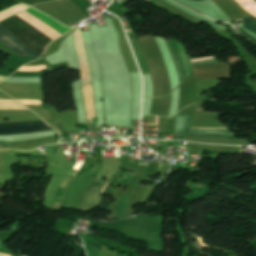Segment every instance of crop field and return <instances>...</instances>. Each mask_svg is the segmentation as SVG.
Masks as SVG:
<instances>
[{
  "mask_svg": "<svg viewBox=\"0 0 256 256\" xmlns=\"http://www.w3.org/2000/svg\"><path fill=\"white\" fill-rule=\"evenodd\" d=\"M46 125L43 121L2 123L0 124V135L51 131L52 129Z\"/></svg>",
  "mask_w": 256,
  "mask_h": 256,
  "instance_id": "ac0d7876",
  "label": "crop field"
},
{
  "mask_svg": "<svg viewBox=\"0 0 256 256\" xmlns=\"http://www.w3.org/2000/svg\"><path fill=\"white\" fill-rule=\"evenodd\" d=\"M167 48L169 50L171 59L175 65L176 71L179 76V82L185 77L183 66L177 51V48L175 46L174 40L165 41Z\"/></svg>",
  "mask_w": 256,
  "mask_h": 256,
  "instance_id": "e52e79f7",
  "label": "crop field"
},
{
  "mask_svg": "<svg viewBox=\"0 0 256 256\" xmlns=\"http://www.w3.org/2000/svg\"><path fill=\"white\" fill-rule=\"evenodd\" d=\"M0 25L39 55L53 41L16 15L0 22Z\"/></svg>",
  "mask_w": 256,
  "mask_h": 256,
  "instance_id": "8a807250",
  "label": "crop field"
},
{
  "mask_svg": "<svg viewBox=\"0 0 256 256\" xmlns=\"http://www.w3.org/2000/svg\"><path fill=\"white\" fill-rule=\"evenodd\" d=\"M0 40L21 56L34 58V59H38L41 57L38 54L31 51L30 49H28L22 43H20L16 38H14L9 32H7L1 26H0Z\"/></svg>",
  "mask_w": 256,
  "mask_h": 256,
  "instance_id": "412701ff",
  "label": "crop field"
},
{
  "mask_svg": "<svg viewBox=\"0 0 256 256\" xmlns=\"http://www.w3.org/2000/svg\"><path fill=\"white\" fill-rule=\"evenodd\" d=\"M105 185L106 182L93 178L82 197L80 210L88 211L96 208L101 201L102 195L100 193Z\"/></svg>",
  "mask_w": 256,
  "mask_h": 256,
  "instance_id": "34b2d1b8",
  "label": "crop field"
},
{
  "mask_svg": "<svg viewBox=\"0 0 256 256\" xmlns=\"http://www.w3.org/2000/svg\"><path fill=\"white\" fill-rule=\"evenodd\" d=\"M17 15L53 40L61 36L25 11Z\"/></svg>",
  "mask_w": 256,
  "mask_h": 256,
  "instance_id": "dd49c442",
  "label": "crop field"
},
{
  "mask_svg": "<svg viewBox=\"0 0 256 256\" xmlns=\"http://www.w3.org/2000/svg\"><path fill=\"white\" fill-rule=\"evenodd\" d=\"M189 136L234 139V136L228 129H218V130L191 129Z\"/></svg>",
  "mask_w": 256,
  "mask_h": 256,
  "instance_id": "f4fd0767",
  "label": "crop field"
},
{
  "mask_svg": "<svg viewBox=\"0 0 256 256\" xmlns=\"http://www.w3.org/2000/svg\"><path fill=\"white\" fill-rule=\"evenodd\" d=\"M214 57V56H213ZM212 57H204V58H198V59H193L191 60V62L193 61H199V60H205V59H211ZM217 62L215 57L214 59H211V60H205V61H199V62H193L191 63L192 66H195V65H202V64H209V63H215Z\"/></svg>",
  "mask_w": 256,
  "mask_h": 256,
  "instance_id": "5a996713",
  "label": "crop field"
},
{
  "mask_svg": "<svg viewBox=\"0 0 256 256\" xmlns=\"http://www.w3.org/2000/svg\"><path fill=\"white\" fill-rule=\"evenodd\" d=\"M244 27L256 33V19L245 22Z\"/></svg>",
  "mask_w": 256,
  "mask_h": 256,
  "instance_id": "3316defc",
  "label": "crop field"
},
{
  "mask_svg": "<svg viewBox=\"0 0 256 256\" xmlns=\"http://www.w3.org/2000/svg\"><path fill=\"white\" fill-rule=\"evenodd\" d=\"M155 125H158V117L155 116Z\"/></svg>",
  "mask_w": 256,
  "mask_h": 256,
  "instance_id": "d1516ede",
  "label": "crop field"
},
{
  "mask_svg": "<svg viewBox=\"0 0 256 256\" xmlns=\"http://www.w3.org/2000/svg\"><path fill=\"white\" fill-rule=\"evenodd\" d=\"M0 148H8V146L5 145L4 143L0 142Z\"/></svg>",
  "mask_w": 256,
  "mask_h": 256,
  "instance_id": "28ad6ade",
  "label": "crop field"
},
{
  "mask_svg": "<svg viewBox=\"0 0 256 256\" xmlns=\"http://www.w3.org/2000/svg\"><path fill=\"white\" fill-rule=\"evenodd\" d=\"M191 118L192 117L186 115H177L174 134L188 135L190 131Z\"/></svg>",
  "mask_w": 256,
  "mask_h": 256,
  "instance_id": "d8731c3e",
  "label": "crop field"
}]
</instances>
